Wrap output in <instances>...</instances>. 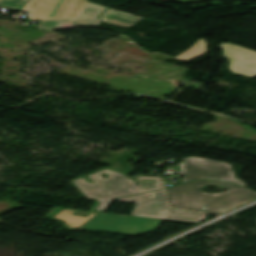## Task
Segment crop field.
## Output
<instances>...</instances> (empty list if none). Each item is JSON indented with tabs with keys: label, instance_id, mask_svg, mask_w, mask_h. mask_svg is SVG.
<instances>
[{
	"label": "crop field",
	"instance_id": "crop-field-9",
	"mask_svg": "<svg viewBox=\"0 0 256 256\" xmlns=\"http://www.w3.org/2000/svg\"><path fill=\"white\" fill-rule=\"evenodd\" d=\"M74 212L76 211L63 209L58 214H56L53 218L65 222L68 228L76 229L98 213V212H93L87 218H84V217L72 215Z\"/></svg>",
	"mask_w": 256,
	"mask_h": 256
},
{
	"label": "crop field",
	"instance_id": "crop-field-6",
	"mask_svg": "<svg viewBox=\"0 0 256 256\" xmlns=\"http://www.w3.org/2000/svg\"><path fill=\"white\" fill-rule=\"evenodd\" d=\"M160 221L158 219L100 213L81 228L137 234L157 228Z\"/></svg>",
	"mask_w": 256,
	"mask_h": 256
},
{
	"label": "crop field",
	"instance_id": "crop-field-10",
	"mask_svg": "<svg viewBox=\"0 0 256 256\" xmlns=\"http://www.w3.org/2000/svg\"><path fill=\"white\" fill-rule=\"evenodd\" d=\"M208 53L207 42L205 39H199L194 46L183 54L175 57L184 61H190L197 57L203 56Z\"/></svg>",
	"mask_w": 256,
	"mask_h": 256
},
{
	"label": "crop field",
	"instance_id": "crop-field-4",
	"mask_svg": "<svg viewBox=\"0 0 256 256\" xmlns=\"http://www.w3.org/2000/svg\"><path fill=\"white\" fill-rule=\"evenodd\" d=\"M149 195H151L149 197ZM117 201L137 203L132 214L134 216L177 220L199 223L205 219V214L169 209L166 206L163 191H153L115 199Z\"/></svg>",
	"mask_w": 256,
	"mask_h": 256
},
{
	"label": "crop field",
	"instance_id": "crop-field-5",
	"mask_svg": "<svg viewBox=\"0 0 256 256\" xmlns=\"http://www.w3.org/2000/svg\"><path fill=\"white\" fill-rule=\"evenodd\" d=\"M179 165L181 172L172 168L168 170L183 175L184 179L182 183L197 179H218L245 186L244 182L235 179L231 165L228 163L191 157L183 159V163Z\"/></svg>",
	"mask_w": 256,
	"mask_h": 256
},
{
	"label": "crop field",
	"instance_id": "crop-field-8",
	"mask_svg": "<svg viewBox=\"0 0 256 256\" xmlns=\"http://www.w3.org/2000/svg\"><path fill=\"white\" fill-rule=\"evenodd\" d=\"M99 18L102 19L101 22L125 27H130L142 19L140 17L111 8H108Z\"/></svg>",
	"mask_w": 256,
	"mask_h": 256
},
{
	"label": "crop field",
	"instance_id": "crop-field-3",
	"mask_svg": "<svg viewBox=\"0 0 256 256\" xmlns=\"http://www.w3.org/2000/svg\"><path fill=\"white\" fill-rule=\"evenodd\" d=\"M103 172L110 178L102 180L104 178L100 174ZM89 177L95 182L94 184L87 183L83 178L74 181V183L87 198L96 199L100 203L96 208L98 212L106 209L113 198L162 189L159 178H137L139 183L137 187L130 179L108 169L89 175ZM123 185L126 188H123ZM103 191L106 193L103 194Z\"/></svg>",
	"mask_w": 256,
	"mask_h": 256
},
{
	"label": "crop field",
	"instance_id": "crop-field-1",
	"mask_svg": "<svg viewBox=\"0 0 256 256\" xmlns=\"http://www.w3.org/2000/svg\"><path fill=\"white\" fill-rule=\"evenodd\" d=\"M0 7L30 10L28 17L41 20L38 27L46 30L100 25L96 17L106 9L87 0H0Z\"/></svg>",
	"mask_w": 256,
	"mask_h": 256
},
{
	"label": "crop field",
	"instance_id": "crop-field-11",
	"mask_svg": "<svg viewBox=\"0 0 256 256\" xmlns=\"http://www.w3.org/2000/svg\"><path fill=\"white\" fill-rule=\"evenodd\" d=\"M172 1L192 2V1H200V0H172Z\"/></svg>",
	"mask_w": 256,
	"mask_h": 256
},
{
	"label": "crop field",
	"instance_id": "crop-field-7",
	"mask_svg": "<svg viewBox=\"0 0 256 256\" xmlns=\"http://www.w3.org/2000/svg\"><path fill=\"white\" fill-rule=\"evenodd\" d=\"M220 46L224 56L231 57L229 68L232 72L251 78L256 77L255 51L224 42Z\"/></svg>",
	"mask_w": 256,
	"mask_h": 256
},
{
	"label": "crop field",
	"instance_id": "crop-field-2",
	"mask_svg": "<svg viewBox=\"0 0 256 256\" xmlns=\"http://www.w3.org/2000/svg\"><path fill=\"white\" fill-rule=\"evenodd\" d=\"M206 185L219 186L228 191L219 194H205L201 187ZM166 192L171 207L216 214H222L256 199V193L252 190L220 181L181 184L167 189Z\"/></svg>",
	"mask_w": 256,
	"mask_h": 256
}]
</instances>
